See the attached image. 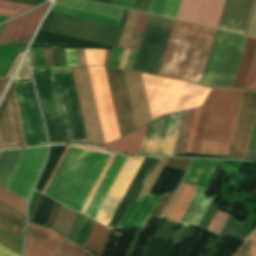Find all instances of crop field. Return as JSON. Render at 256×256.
<instances>
[{
    "mask_svg": "<svg viewBox=\"0 0 256 256\" xmlns=\"http://www.w3.org/2000/svg\"><path fill=\"white\" fill-rule=\"evenodd\" d=\"M83 256H96V255H94L93 253H91V252H89L87 250H84Z\"/></svg>",
    "mask_w": 256,
    "mask_h": 256,
    "instance_id": "crop-field-52",
    "label": "crop field"
},
{
    "mask_svg": "<svg viewBox=\"0 0 256 256\" xmlns=\"http://www.w3.org/2000/svg\"><path fill=\"white\" fill-rule=\"evenodd\" d=\"M83 250V248L73 244L68 239H65L61 256H82Z\"/></svg>",
    "mask_w": 256,
    "mask_h": 256,
    "instance_id": "crop-field-35",
    "label": "crop field"
},
{
    "mask_svg": "<svg viewBox=\"0 0 256 256\" xmlns=\"http://www.w3.org/2000/svg\"><path fill=\"white\" fill-rule=\"evenodd\" d=\"M49 4L50 2L20 18L7 22L0 35V45L28 43L40 17Z\"/></svg>",
    "mask_w": 256,
    "mask_h": 256,
    "instance_id": "crop-field-16",
    "label": "crop field"
},
{
    "mask_svg": "<svg viewBox=\"0 0 256 256\" xmlns=\"http://www.w3.org/2000/svg\"><path fill=\"white\" fill-rule=\"evenodd\" d=\"M22 79H30L26 56L14 78V80H22Z\"/></svg>",
    "mask_w": 256,
    "mask_h": 256,
    "instance_id": "crop-field-40",
    "label": "crop field"
},
{
    "mask_svg": "<svg viewBox=\"0 0 256 256\" xmlns=\"http://www.w3.org/2000/svg\"><path fill=\"white\" fill-rule=\"evenodd\" d=\"M10 1H16V2L38 5V4H40L41 2H43L45 0H10Z\"/></svg>",
    "mask_w": 256,
    "mask_h": 256,
    "instance_id": "crop-field-47",
    "label": "crop field"
},
{
    "mask_svg": "<svg viewBox=\"0 0 256 256\" xmlns=\"http://www.w3.org/2000/svg\"><path fill=\"white\" fill-rule=\"evenodd\" d=\"M43 52H44L45 64L46 66H50L47 49H43Z\"/></svg>",
    "mask_w": 256,
    "mask_h": 256,
    "instance_id": "crop-field-51",
    "label": "crop field"
},
{
    "mask_svg": "<svg viewBox=\"0 0 256 256\" xmlns=\"http://www.w3.org/2000/svg\"><path fill=\"white\" fill-rule=\"evenodd\" d=\"M256 50V38H247L231 88L243 89Z\"/></svg>",
    "mask_w": 256,
    "mask_h": 256,
    "instance_id": "crop-field-22",
    "label": "crop field"
},
{
    "mask_svg": "<svg viewBox=\"0 0 256 256\" xmlns=\"http://www.w3.org/2000/svg\"><path fill=\"white\" fill-rule=\"evenodd\" d=\"M215 31L175 21L158 75L199 84Z\"/></svg>",
    "mask_w": 256,
    "mask_h": 256,
    "instance_id": "crop-field-2",
    "label": "crop field"
},
{
    "mask_svg": "<svg viewBox=\"0 0 256 256\" xmlns=\"http://www.w3.org/2000/svg\"><path fill=\"white\" fill-rule=\"evenodd\" d=\"M87 65H104L106 50H84Z\"/></svg>",
    "mask_w": 256,
    "mask_h": 256,
    "instance_id": "crop-field-31",
    "label": "crop field"
},
{
    "mask_svg": "<svg viewBox=\"0 0 256 256\" xmlns=\"http://www.w3.org/2000/svg\"><path fill=\"white\" fill-rule=\"evenodd\" d=\"M142 160L143 158L127 156L120 172L101 205L95 220L108 226Z\"/></svg>",
    "mask_w": 256,
    "mask_h": 256,
    "instance_id": "crop-field-12",
    "label": "crop field"
},
{
    "mask_svg": "<svg viewBox=\"0 0 256 256\" xmlns=\"http://www.w3.org/2000/svg\"><path fill=\"white\" fill-rule=\"evenodd\" d=\"M194 111H195V109L185 111L182 114L181 123H180L179 132H178L177 141H176L175 150H174L173 155L184 154V152H185Z\"/></svg>",
    "mask_w": 256,
    "mask_h": 256,
    "instance_id": "crop-field-25",
    "label": "crop field"
},
{
    "mask_svg": "<svg viewBox=\"0 0 256 256\" xmlns=\"http://www.w3.org/2000/svg\"><path fill=\"white\" fill-rule=\"evenodd\" d=\"M244 89L256 90V53Z\"/></svg>",
    "mask_w": 256,
    "mask_h": 256,
    "instance_id": "crop-field-36",
    "label": "crop field"
},
{
    "mask_svg": "<svg viewBox=\"0 0 256 256\" xmlns=\"http://www.w3.org/2000/svg\"><path fill=\"white\" fill-rule=\"evenodd\" d=\"M24 146L26 144L12 82L0 105V150Z\"/></svg>",
    "mask_w": 256,
    "mask_h": 256,
    "instance_id": "crop-field-9",
    "label": "crop field"
},
{
    "mask_svg": "<svg viewBox=\"0 0 256 256\" xmlns=\"http://www.w3.org/2000/svg\"><path fill=\"white\" fill-rule=\"evenodd\" d=\"M147 16L148 15H146V14H142V13L139 14V17H138V20H137V23H136V26L134 29V33H133V36H132V39H131L128 49L136 50V51L138 50V46H139L141 36H142L143 30H144Z\"/></svg>",
    "mask_w": 256,
    "mask_h": 256,
    "instance_id": "crop-field-30",
    "label": "crop field"
},
{
    "mask_svg": "<svg viewBox=\"0 0 256 256\" xmlns=\"http://www.w3.org/2000/svg\"><path fill=\"white\" fill-rule=\"evenodd\" d=\"M105 68L120 137L136 129L122 70Z\"/></svg>",
    "mask_w": 256,
    "mask_h": 256,
    "instance_id": "crop-field-10",
    "label": "crop field"
},
{
    "mask_svg": "<svg viewBox=\"0 0 256 256\" xmlns=\"http://www.w3.org/2000/svg\"><path fill=\"white\" fill-rule=\"evenodd\" d=\"M201 108L196 109L185 154H190Z\"/></svg>",
    "mask_w": 256,
    "mask_h": 256,
    "instance_id": "crop-field-38",
    "label": "crop field"
},
{
    "mask_svg": "<svg viewBox=\"0 0 256 256\" xmlns=\"http://www.w3.org/2000/svg\"><path fill=\"white\" fill-rule=\"evenodd\" d=\"M138 14H139L138 12H134L131 10L129 11L127 21H126L118 47L125 48V49L128 48Z\"/></svg>",
    "mask_w": 256,
    "mask_h": 256,
    "instance_id": "crop-field-29",
    "label": "crop field"
},
{
    "mask_svg": "<svg viewBox=\"0 0 256 256\" xmlns=\"http://www.w3.org/2000/svg\"><path fill=\"white\" fill-rule=\"evenodd\" d=\"M44 157L45 148L24 150L8 190L27 200L43 165Z\"/></svg>",
    "mask_w": 256,
    "mask_h": 256,
    "instance_id": "crop-field-13",
    "label": "crop field"
},
{
    "mask_svg": "<svg viewBox=\"0 0 256 256\" xmlns=\"http://www.w3.org/2000/svg\"><path fill=\"white\" fill-rule=\"evenodd\" d=\"M145 126H142L135 131L117 139L114 142H111L109 144H106L104 148L124 152V153H130V154H136L139 155L142 138L145 130Z\"/></svg>",
    "mask_w": 256,
    "mask_h": 256,
    "instance_id": "crop-field-21",
    "label": "crop field"
},
{
    "mask_svg": "<svg viewBox=\"0 0 256 256\" xmlns=\"http://www.w3.org/2000/svg\"><path fill=\"white\" fill-rule=\"evenodd\" d=\"M126 156L115 154L110 166L102 178L97 190L89 202L84 215L94 219L101 203L103 202L109 188L111 187L118 171L120 170Z\"/></svg>",
    "mask_w": 256,
    "mask_h": 256,
    "instance_id": "crop-field-19",
    "label": "crop field"
},
{
    "mask_svg": "<svg viewBox=\"0 0 256 256\" xmlns=\"http://www.w3.org/2000/svg\"><path fill=\"white\" fill-rule=\"evenodd\" d=\"M71 147L111 155L109 158L108 155L69 148L45 192V195L50 196L79 212L109 158L80 210V213L83 214L114 154L85 146Z\"/></svg>",
    "mask_w": 256,
    "mask_h": 256,
    "instance_id": "crop-field-1",
    "label": "crop field"
},
{
    "mask_svg": "<svg viewBox=\"0 0 256 256\" xmlns=\"http://www.w3.org/2000/svg\"><path fill=\"white\" fill-rule=\"evenodd\" d=\"M78 66L86 65L83 50L75 49Z\"/></svg>",
    "mask_w": 256,
    "mask_h": 256,
    "instance_id": "crop-field-46",
    "label": "crop field"
},
{
    "mask_svg": "<svg viewBox=\"0 0 256 256\" xmlns=\"http://www.w3.org/2000/svg\"><path fill=\"white\" fill-rule=\"evenodd\" d=\"M10 78H3V79H0V95L3 91V89L5 88V86L7 85L8 81H9Z\"/></svg>",
    "mask_w": 256,
    "mask_h": 256,
    "instance_id": "crop-field-50",
    "label": "crop field"
},
{
    "mask_svg": "<svg viewBox=\"0 0 256 256\" xmlns=\"http://www.w3.org/2000/svg\"><path fill=\"white\" fill-rule=\"evenodd\" d=\"M25 219L0 205V226L22 238Z\"/></svg>",
    "mask_w": 256,
    "mask_h": 256,
    "instance_id": "crop-field-23",
    "label": "crop field"
},
{
    "mask_svg": "<svg viewBox=\"0 0 256 256\" xmlns=\"http://www.w3.org/2000/svg\"><path fill=\"white\" fill-rule=\"evenodd\" d=\"M150 2L151 0H134L131 9L147 13Z\"/></svg>",
    "mask_w": 256,
    "mask_h": 256,
    "instance_id": "crop-field-41",
    "label": "crop field"
},
{
    "mask_svg": "<svg viewBox=\"0 0 256 256\" xmlns=\"http://www.w3.org/2000/svg\"><path fill=\"white\" fill-rule=\"evenodd\" d=\"M89 143L105 144L87 67L71 68Z\"/></svg>",
    "mask_w": 256,
    "mask_h": 256,
    "instance_id": "crop-field-8",
    "label": "crop field"
},
{
    "mask_svg": "<svg viewBox=\"0 0 256 256\" xmlns=\"http://www.w3.org/2000/svg\"><path fill=\"white\" fill-rule=\"evenodd\" d=\"M252 238H256V231L252 234Z\"/></svg>",
    "mask_w": 256,
    "mask_h": 256,
    "instance_id": "crop-field-53",
    "label": "crop field"
},
{
    "mask_svg": "<svg viewBox=\"0 0 256 256\" xmlns=\"http://www.w3.org/2000/svg\"><path fill=\"white\" fill-rule=\"evenodd\" d=\"M22 53H23V52H21V53L18 54V56H17V58H16V60H15V62H14V64H13L11 70L9 71L7 77H9V76L12 75L14 69L16 68V66H17V64H18V62H19V60H20V57H21Z\"/></svg>",
    "mask_w": 256,
    "mask_h": 256,
    "instance_id": "crop-field-49",
    "label": "crop field"
},
{
    "mask_svg": "<svg viewBox=\"0 0 256 256\" xmlns=\"http://www.w3.org/2000/svg\"><path fill=\"white\" fill-rule=\"evenodd\" d=\"M105 141L119 138L103 67H88Z\"/></svg>",
    "mask_w": 256,
    "mask_h": 256,
    "instance_id": "crop-field-14",
    "label": "crop field"
},
{
    "mask_svg": "<svg viewBox=\"0 0 256 256\" xmlns=\"http://www.w3.org/2000/svg\"><path fill=\"white\" fill-rule=\"evenodd\" d=\"M228 217V214H225L218 210L217 214L215 215L207 230L219 234Z\"/></svg>",
    "mask_w": 256,
    "mask_h": 256,
    "instance_id": "crop-field-33",
    "label": "crop field"
},
{
    "mask_svg": "<svg viewBox=\"0 0 256 256\" xmlns=\"http://www.w3.org/2000/svg\"><path fill=\"white\" fill-rule=\"evenodd\" d=\"M225 0H182L178 20L217 27Z\"/></svg>",
    "mask_w": 256,
    "mask_h": 256,
    "instance_id": "crop-field-15",
    "label": "crop field"
},
{
    "mask_svg": "<svg viewBox=\"0 0 256 256\" xmlns=\"http://www.w3.org/2000/svg\"><path fill=\"white\" fill-rule=\"evenodd\" d=\"M68 148H69V146H66V148H65V150H64V152H63V154L61 155V157H60V159H59L58 163L56 164V166H55V168H54V170H53L52 174L50 175V177H49V179H48V181H47L46 185L44 186V188H43V190H42V192H41V193H43V194H44V192H45V190H46L47 186L49 185V183H50V181H51V179H52L53 175L55 174V172H56V170H57L58 166L60 165V163H61V161H62V159H63L64 155L66 154V152H67Z\"/></svg>",
    "mask_w": 256,
    "mask_h": 256,
    "instance_id": "crop-field-44",
    "label": "crop field"
},
{
    "mask_svg": "<svg viewBox=\"0 0 256 256\" xmlns=\"http://www.w3.org/2000/svg\"><path fill=\"white\" fill-rule=\"evenodd\" d=\"M166 3L167 0H152L148 13L162 16Z\"/></svg>",
    "mask_w": 256,
    "mask_h": 256,
    "instance_id": "crop-field-39",
    "label": "crop field"
},
{
    "mask_svg": "<svg viewBox=\"0 0 256 256\" xmlns=\"http://www.w3.org/2000/svg\"><path fill=\"white\" fill-rule=\"evenodd\" d=\"M128 11L119 28L49 12L40 29L117 47Z\"/></svg>",
    "mask_w": 256,
    "mask_h": 256,
    "instance_id": "crop-field-5",
    "label": "crop field"
},
{
    "mask_svg": "<svg viewBox=\"0 0 256 256\" xmlns=\"http://www.w3.org/2000/svg\"><path fill=\"white\" fill-rule=\"evenodd\" d=\"M197 187L180 183L162 217L179 222Z\"/></svg>",
    "mask_w": 256,
    "mask_h": 256,
    "instance_id": "crop-field-20",
    "label": "crop field"
},
{
    "mask_svg": "<svg viewBox=\"0 0 256 256\" xmlns=\"http://www.w3.org/2000/svg\"><path fill=\"white\" fill-rule=\"evenodd\" d=\"M146 95L151 118L202 106L210 89L189 83L144 75Z\"/></svg>",
    "mask_w": 256,
    "mask_h": 256,
    "instance_id": "crop-field-3",
    "label": "crop field"
},
{
    "mask_svg": "<svg viewBox=\"0 0 256 256\" xmlns=\"http://www.w3.org/2000/svg\"><path fill=\"white\" fill-rule=\"evenodd\" d=\"M111 230L94 223L85 246L102 255Z\"/></svg>",
    "mask_w": 256,
    "mask_h": 256,
    "instance_id": "crop-field-24",
    "label": "crop field"
},
{
    "mask_svg": "<svg viewBox=\"0 0 256 256\" xmlns=\"http://www.w3.org/2000/svg\"><path fill=\"white\" fill-rule=\"evenodd\" d=\"M68 66H77L74 49H65Z\"/></svg>",
    "mask_w": 256,
    "mask_h": 256,
    "instance_id": "crop-field-43",
    "label": "crop field"
},
{
    "mask_svg": "<svg viewBox=\"0 0 256 256\" xmlns=\"http://www.w3.org/2000/svg\"><path fill=\"white\" fill-rule=\"evenodd\" d=\"M255 8H256V0L253 1L252 7H251V10H250V14H249V17H248L246 26H245L244 33H243V34H245V35L248 34L249 27H250V24H251L253 15H254Z\"/></svg>",
    "mask_w": 256,
    "mask_h": 256,
    "instance_id": "crop-field-45",
    "label": "crop field"
},
{
    "mask_svg": "<svg viewBox=\"0 0 256 256\" xmlns=\"http://www.w3.org/2000/svg\"><path fill=\"white\" fill-rule=\"evenodd\" d=\"M243 222L234 219V216L230 215L229 219L227 220L226 224L224 225L223 229L221 230V235H237L239 229L241 228Z\"/></svg>",
    "mask_w": 256,
    "mask_h": 256,
    "instance_id": "crop-field-32",
    "label": "crop field"
},
{
    "mask_svg": "<svg viewBox=\"0 0 256 256\" xmlns=\"http://www.w3.org/2000/svg\"><path fill=\"white\" fill-rule=\"evenodd\" d=\"M123 72L128 88L136 126L139 127L151 121L142 76L139 73H134L130 71L123 70Z\"/></svg>",
    "mask_w": 256,
    "mask_h": 256,
    "instance_id": "crop-field-17",
    "label": "crop field"
},
{
    "mask_svg": "<svg viewBox=\"0 0 256 256\" xmlns=\"http://www.w3.org/2000/svg\"><path fill=\"white\" fill-rule=\"evenodd\" d=\"M233 256H256V239L249 238Z\"/></svg>",
    "mask_w": 256,
    "mask_h": 256,
    "instance_id": "crop-field-34",
    "label": "crop field"
},
{
    "mask_svg": "<svg viewBox=\"0 0 256 256\" xmlns=\"http://www.w3.org/2000/svg\"><path fill=\"white\" fill-rule=\"evenodd\" d=\"M0 256H17V255L5 249L4 247L0 246Z\"/></svg>",
    "mask_w": 256,
    "mask_h": 256,
    "instance_id": "crop-field-48",
    "label": "crop field"
},
{
    "mask_svg": "<svg viewBox=\"0 0 256 256\" xmlns=\"http://www.w3.org/2000/svg\"><path fill=\"white\" fill-rule=\"evenodd\" d=\"M241 93L221 89L210 108L199 154L227 156Z\"/></svg>",
    "mask_w": 256,
    "mask_h": 256,
    "instance_id": "crop-field-4",
    "label": "crop field"
},
{
    "mask_svg": "<svg viewBox=\"0 0 256 256\" xmlns=\"http://www.w3.org/2000/svg\"><path fill=\"white\" fill-rule=\"evenodd\" d=\"M57 232L29 223L25 256H51Z\"/></svg>",
    "mask_w": 256,
    "mask_h": 256,
    "instance_id": "crop-field-18",
    "label": "crop field"
},
{
    "mask_svg": "<svg viewBox=\"0 0 256 256\" xmlns=\"http://www.w3.org/2000/svg\"><path fill=\"white\" fill-rule=\"evenodd\" d=\"M0 202L9 208L15 210L21 215L25 216V203L26 201L7 191L0 186Z\"/></svg>",
    "mask_w": 256,
    "mask_h": 256,
    "instance_id": "crop-field-27",
    "label": "crop field"
},
{
    "mask_svg": "<svg viewBox=\"0 0 256 256\" xmlns=\"http://www.w3.org/2000/svg\"><path fill=\"white\" fill-rule=\"evenodd\" d=\"M181 114L164 115L147 124L140 155L172 156Z\"/></svg>",
    "mask_w": 256,
    "mask_h": 256,
    "instance_id": "crop-field-7",
    "label": "crop field"
},
{
    "mask_svg": "<svg viewBox=\"0 0 256 256\" xmlns=\"http://www.w3.org/2000/svg\"><path fill=\"white\" fill-rule=\"evenodd\" d=\"M219 91H220V89L211 90L208 98L206 99V101L202 107L191 154H198V152H199L208 111H209V108H210L211 104L213 103L214 99L216 98L217 94L219 93Z\"/></svg>",
    "mask_w": 256,
    "mask_h": 256,
    "instance_id": "crop-field-26",
    "label": "crop field"
},
{
    "mask_svg": "<svg viewBox=\"0 0 256 256\" xmlns=\"http://www.w3.org/2000/svg\"><path fill=\"white\" fill-rule=\"evenodd\" d=\"M256 113V93L243 91L229 157L245 159Z\"/></svg>",
    "mask_w": 256,
    "mask_h": 256,
    "instance_id": "crop-field-11",
    "label": "crop field"
},
{
    "mask_svg": "<svg viewBox=\"0 0 256 256\" xmlns=\"http://www.w3.org/2000/svg\"><path fill=\"white\" fill-rule=\"evenodd\" d=\"M64 239H65V237L61 236L60 234L57 235V239H56V243H55V247H54L52 256H60L61 255Z\"/></svg>",
    "mask_w": 256,
    "mask_h": 256,
    "instance_id": "crop-field-42",
    "label": "crop field"
},
{
    "mask_svg": "<svg viewBox=\"0 0 256 256\" xmlns=\"http://www.w3.org/2000/svg\"><path fill=\"white\" fill-rule=\"evenodd\" d=\"M33 7L35 6L0 0V16H8L9 19Z\"/></svg>",
    "mask_w": 256,
    "mask_h": 256,
    "instance_id": "crop-field-28",
    "label": "crop field"
},
{
    "mask_svg": "<svg viewBox=\"0 0 256 256\" xmlns=\"http://www.w3.org/2000/svg\"><path fill=\"white\" fill-rule=\"evenodd\" d=\"M173 22L164 18L148 16L132 70L158 74Z\"/></svg>",
    "mask_w": 256,
    "mask_h": 256,
    "instance_id": "crop-field-6",
    "label": "crop field"
},
{
    "mask_svg": "<svg viewBox=\"0 0 256 256\" xmlns=\"http://www.w3.org/2000/svg\"><path fill=\"white\" fill-rule=\"evenodd\" d=\"M180 2L181 0H168L163 16L175 19Z\"/></svg>",
    "mask_w": 256,
    "mask_h": 256,
    "instance_id": "crop-field-37",
    "label": "crop field"
}]
</instances>
